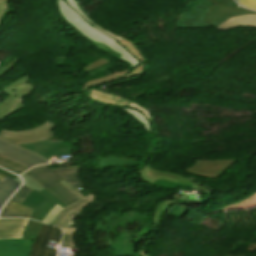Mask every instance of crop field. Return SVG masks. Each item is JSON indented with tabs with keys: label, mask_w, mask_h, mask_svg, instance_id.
Listing matches in <instances>:
<instances>
[{
	"label": "crop field",
	"mask_w": 256,
	"mask_h": 256,
	"mask_svg": "<svg viewBox=\"0 0 256 256\" xmlns=\"http://www.w3.org/2000/svg\"><path fill=\"white\" fill-rule=\"evenodd\" d=\"M173 204H174V201H167V202H163V203L159 206L157 212L155 213V217H154V222H155V228H154V229H155V230H156V228L158 227V225H159V223H160V221H161V219H162L164 213L166 212V210H167L170 206H172Z\"/></svg>",
	"instance_id": "crop-field-22"
},
{
	"label": "crop field",
	"mask_w": 256,
	"mask_h": 256,
	"mask_svg": "<svg viewBox=\"0 0 256 256\" xmlns=\"http://www.w3.org/2000/svg\"><path fill=\"white\" fill-rule=\"evenodd\" d=\"M31 246H22L11 239L0 240V256L28 255Z\"/></svg>",
	"instance_id": "crop-field-14"
},
{
	"label": "crop field",
	"mask_w": 256,
	"mask_h": 256,
	"mask_svg": "<svg viewBox=\"0 0 256 256\" xmlns=\"http://www.w3.org/2000/svg\"><path fill=\"white\" fill-rule=\"evenodd\" d=\"M129 107H135V108L141 110L144 114L147 115V117H148L149 119H151L150 113H148V112L146 111V109H144V108H142V107H140V106H138V105H136V104H134V103H132V102L129 103Z\"/></svg>",
	"instance_id": "crop-field-33"
},
{
	"label": "crop field",
	"mask_w": 256,
	"mask_h": 256,
	"mask_svg": "<svg viewBox=\"0 0 256 256\" xmlns=\"http://www.w3.org/2000/svg\"><path fill=\"white\" fill-rule=\"evenodd\" d=\"M21 177L24 178V185L36 190V191H40L42 189H44L41 185L37 184L35 181H33L30 177H28L27 175L23 174L21 175Z\"/></svg>",
	"instance_id": "crop-field-28"
},
{
	"label": "crop field",
	"mask_w": 256,
	"mask_h": 256,
	"mask_svg": "<svg viewBox=\"0 0 256 256\" xmlns=\"http://www.w3.org/2000/svg\"><path fill=\"white\" fill-rule=\"evenodd\" d=\"M94 199V196L91 194L84 199L65 207L64 209L55 206L45 217L43 220L44 223L56 225L60 228L69 227L73 225L72 218L74 215L80 212V209L83 208L84 205L91 203Z\"/></svg>",
	"instance_id": "crop-field-4"
},
{
	"label": "crop field",
	"mask_w": 256,
	"mask_h": 256,
	"mask_svg": "<svg viewBox=\"0 0 256 256\" xmlns=\"http://www.w3.org/2000/svg\"><path fill=\"white\" fill-rule=\"evenodd\" d=\"M216 6H211L204 21L205 23L218 27L220 24L225 22L227 19L244 14H256L253 12L246 11L239 7L229 6L232 0H209Z\"/></svg>",
	"instance_id": "crop-field-5"
},
{
	"label": "crop field",
	"mask_w": 256,
	"mask_h": 256,
	"mask_svg": "<svg viewBox=\"0 0 256 256\" xmlns=\"http://www.w3.org/2000/svg\"><path fill=\"white\" fill-rule=\"evenodd\" d=\"M239 26L256 27V15H245V16L233 17L227 20L218 28L227 30L229 28H234Z\"/></svg>",
	"instance_id": "crop-field-16"
},
{
	"label": "crop field",
	"mask_w": 256,
	"mask_h": 256,
	"mask_svg": "<svg viewBox=\"0 0 256 256\" xmlns=\"http://www.w3.org/2000/svg\"><path fill=\"white\" fill-rule=\"evenodd\" d=\"M0 164L15 170L20 174L28 170V169L20 166L19 164L15 163L9 159L3 158V157H0Z\"/></svg>",
	"instance_id": "crop-field-25"
},
{
	"label": "crop field",
	"mask_w": 256,
	"mask_h": 256,
	"mask_svg": "<svg viewBox=\"0 0 256 256\" xmlns=\"http://www.w3.org/2000/svg\"><path fill=\"white\" fill-rule=\"evenodd\" d=\"M61 240V230L43 224L37 233L29 256H55L57 250L46 248L48 241L59 243Z\"/></svg>",
	"instance_id": "crop-field-8"
},
{
	"label": "crop field",
	"mask_w": 256,
	"mask_h": 256,
	"mask_svg": "<svg viewBox=\"0 0 256 256\" xmlns=\"http://www.w3.org/2000/svg\"><path fill=\"white\" fill-rule=\"evenodd\" d=\"M140 173H141L143 179H144L146 182H148V183H150L151 181L155 180V179L158 178V177H161V178H165V179H169V180H173V181H177V182L189 184V185H192V187L201 188V189L205 190V191H206V194L209 193V191H208L206 188H204V187H202V186H200V185H198V184H195V183H193V182H191V181H189V180H186V179H184V178L181 177V176L158 172V171H155V170L151 169V168L148 167V166H146V167L144 168V170L141 171ZM151 183H152V182H151Z\"/></svg>",
	"instance_id": "crop-field-13"
},
{
	"label": "crop field",
	"mask_w": 256,
	"mask_h": 256,
	"mask_svg": "<svg viewBox=\"0 0 256 256\" xmlns=\"http://www.w3.org/2000/svg\"><path fill=\"white\" fill-rule=\"evenodd\" d=\"M237 1V0H236Z\"/></svg>",
	"instance_id": "crop-field-47"
},
{
	"label": "crop field",
	"mask_w": 256,
	"mask_h": 256,
	"mask_svg": "<svg viewBox=\"0 0 256 256\" xmlns=\"http://www.w3.org/2000/svg\"><path fill=\"white\" fill-rule=\"evenodd\" d=\"M1 166V165H0ZM2 167H4V166H2ZM4 168H6V167H4ZM6 169H8V170H10V171H12V172H14V173H16L15 171H13V170H11V169H9V168H6ZM16 174H18V173H16ZM18 175H20V174H18Z\"/></svg>",
	"instance_id": "crop-field-42"
},
{
	"label": "crop field",
	"mask_w": 256,
	"mask_h": 256,
	"mask_svg": "<svg viewBox=\"0 0 256 256\" xmlns=\"http://www.w3.org/2000/svg\"><path fill=\"white\" fill-rule=\"evenodd\" d=\"M235 160H201L185 171L207 176L219 177Z\"/></svg>",
	"instance_id": "crop-field-10"
},
{
	"label": "crop field",
	"mask_w": 256,
	"mask_h": 256,
	"mask_svg": "<svg viewBox=\"0 0 256 256\" xmlns=\"http://www.w3.org/2000/svg\"><path fill=\"white\" fill-rule=\"evenodd\" d=\"M29 213H21V212H12V211H5L2 210L0 213V217H26L29 218Z\"/></svg>",
	"instance_id": "crop-field-31"
},
{
	"label": "crop field",
	"mask_w": 256,
	"mask_h": 256,
	"mask_svg": "<svg viewBox=\"0 0 256 256\" xmlns=\"http://www.w3.org/2000/svg\"><path fill=\"white\" fill-rule=\"evenodd\" d=\"M117 109H122L128 113H130L138 122L144 125L146 130H150L149 124L145 117H143L141 114L131 110V109H123V108H117Z\"/></svg>",
	"instance_id": "crop-field-27"
},
{
	"label": "crop field",
	"mask_w": 256,
	"mask_h": 256,
	"mask_svg": "<svg viewBox=\"0 0 256 256\" xmlns=\"http://www.w3.org/2000/svg\"><path fill=\"white\" fill-rule=\"evenodd\" d=\"M54 127L55 125L51 124L49 121H46L44 125L29 131L10 132L4 130L2 133H0V137L14 144L31 143L54 136L55 133L51 131Z\"/></svg>",
	"instance_id": "crop-field-7"
},
{
	"label": "crop field",
	"mask_w": 256,
	"mask_h": 256,
	"mask_svg": "<svg viewBox=\"0 0 256 256\" xmlns=\"http://www.w3.org/2000/svg\"><path fill=\"white\" fill-rule=\"evenodd\" d=\"M140 254H141V256H148V255H146V254L143 252V250H140Z\"/></svg>",
	"instance_id": "crop-field-41"
},
{
	"label": "crop field",
	"mask_w": 256,
	"mask_h": 256,
	"mask_svg": "<svg viewBox=\"0 0 256 256\" xmlns=\"http://www.w3.org/2000/svg\"><path fill=\"white\" fill-rule=\"evenodd\" d=\"M62 184H64L67 188H69L72 192H74L76 195H78L81 199L84 198L83 196H81L77 190L73 189L67 182H65L64 180L61 181Z\"/></svg>",
	"instance_id": "crop-field-35"
},
{
	"label": "crop field",
	"mask_w": 256,
	"mask_h": 256,
	"mask_svg": "<svg viewBox=\"0 0 256 256\" xmlns=\"http://www.w3.org/2000/svg\"><path fill=\"white\" fill-rule=\"evenodd\" d=\"M62 230L64 232V236L61 245L66 247H75L71 239L72 233L74 232L75 228H64Z\"/></svg>",
	"instance_id": "crop-field-26"
},
{
	"label": "crop field",
	"mask_w": 256,
	"mask_h": 256,
	"mask_svg": "<svg viewBox=\"0 0 256 256\" xmlns=\"http://www.w3.org/2000/svg\"><path fill=\"white\" fill-rule=\"evenodd\" d=\"M40 193L44 194L48 198L44 200L31 214L30 219L39 220L42 222L45 215L56 205H60L63 208L67 206L64 204L60 199L56 198L54 195H52L50 192H48L46 189L40 191Z\"/></svg>",
	"instance_id": "crop-field-12"
},
{
	"label": "crop field",
	"mask_w": 256,
	"mask_h": 256,
	"mask_svg": "<svg viewBox=\"0 0 256 256\" xmlns=\"http://www.w3.org/2000/svg\"><path fill=\"white\" fill-rule=\"evenodd\" d=\"M11 62H9L8 60L5 62V65L2 67V68H0V71L3 69V68H5L8 64H10Z\"/></svg>",
	"instance_id": "crop-field-39"
},
{
	"label": "crop field",
	"mask_w": 256,
	"mask_h": 256,
	"mask_svg": "<svg viewBox=\"0 0 256 256\" xmlns=\"http://www.w3.org/2000/svg\"><path fill=\"white\" fill-rule=\"evenodd\" d=\"M57 6L65 20L83 36L89 38L95 46L110 53L116 58L129 62L132 67L138 65V61L119 46L115 40L83 21L82 18L75 11L69 8L65 2L57 0Z\"/></svg>",
	"instance_id": "crop-field-2"
},
{
	"label": "crop field",
	"mask_w": 256,
	"mask_h": 256,
	"mask_svg": "<svg viewBox=\"0 0 256 256\" xmlns=\"http://www.w3.org/2000/svg\"><path fill=\"white\" fill-rule=\"evenodd\" d=\"M66 1H67V3H69L77 12H79L89 23H91L92 25H94L95 27H97L98 29H100L101 31H103V32H105V33H107V34H109V35L115 37L118 41L121 40V39H123V38H121V37H118V36H116V35H114V34L108 32V31H106V30H104V29L98 27V26L95 25L93 22H91V21L86 17V15L82 12V10L80 9V7L78 6V4L76 3L75 0H66ZM115 38H114V39H115Z\"/></svg>",
	"instance_id": "crop-field-24"
},
{
	"label": "crop field",
	"mask_w": 256,
	"mask_h": 256,
	"mask_svg": "<svg viewBox=\"0 0 256 256\" xmlns=\"http://www.w3.org/2000/svg\"><path fill=\"white\" fill-rule=\"evenodd\" d=\"M4 14H5V12L0 11V22H1L2 17L4 16Z\"/></svg>",
	"instance_id": "crop-field-40"
},
{
	"label": "crop field",
	"mask_w": 256,
	"mask_h": 256,
	"mask_svg": "<svg viewBox=\"0 0 256 256\" xmlns=\"http://www.w3.org/2000/svg\"><path fill=\"white\" fill-rule=\"evenodd\" d=\"M45 198L44 195L33 191L29 194V196L21 203V205L30 207L35 209Z\"/></svg>",
	"instance_id": "crop-field-19"
},
{
	"label": "crop field",
	"mask_w": 256,
	"mask_h": 256,
	"mask_svg": "<svg viewBox=\"0 0 256 256\" xmlns=\"http://www.w3.org/2000/svg\"><path fill=\"white\" fill-rule=\"evenodd\" d=\"M0 155L9 158L27 168L49 164L45 159L35 153L8 143L0 138Z\"/></svg>",
	"instance_id": "crop-field-6"
},
{
	"label": "crop field",
	"mask_w": 256,
	"mask_h": 256,
	"mask_svg": "<svg viewBox=\"0 0 256 256\" xmlns=\"http://www.w3.org/2000/svg\"><path fill=\"white\" fill-rule=\"evenodd\" d=\"M128 72V70H124L121 72H117V73H113L98 79H95L93 81L87 82L85 84V86L83 87V90H85L87 87H91V86H95L101 82H105V81H111V80H116L118 78H121L124 74H126Z\"/></svg>",
	"instance_id": "crop-field-21"
},
{
	"label": "crop field",
	"mask_w": 256,
	"mask_h": 256,
	"mask_svg": "<svg viewBox=\"0 0 256 256\" xmlns=\"http://www.w3.org/2000/svg\"><path fill=\"white\" fill-rule=\"evenodd\" d=\"M25 174L34 179L37 183L44 186L52 194L60 198L68 205L80 200L79 197H77L59 182L60 180L64 179L74 188L83 185L79 178L77 167L48 170L43 166H38L27 171Z\"/></svg>",
	"instance_id": "crop-field-1"
},
{
	"label": "crop field",
	"mask_w": 256,
	"mask_h": 256,
	"mask_svg": "<svg viewBox=\"0 0 256 256\" xmlns=\"http://www.w3.org/2000/svg\"><path fill=\"white\" fill-rule=\"evenodd\" d=\"M7 4V1L0 0V10L5 11V5Z\"/></svg>",
	"instance_id": "crop-field-37"
},
{
	"label": "crop field",
	"mask_w": 256,
	"mask_h": 256,
	"mask_svg": "<svg viewBox=\"0 0 256 256\" xmlns=\"http://www.w3.org/2000/svg\"><path fill=\"white\" fill-rule=\"evenodd\" d=\"M4 203H5V202H1V201H0V209H1V207L4 205Z\"/></svg>",
	"instance_id": "crop-field-43"
},
{
	"label": "crop field",
	"mask_w": 256,
	"mask_h": 256,
	"mask_svg": "<svg viewBox=\"0 0 256 256\" xmlns=\"http://www.w3.org/2000/svg\"><path fill=\"white\" fill-rule=\"evenodd\" d=\"M19 243H21L22 245H31L32 242L30 241H25V240H22V239H13Z\"/></svg>",
	"instance_id": "crop-field-36"
},
{
	"label": "crop field",
	"mask_w": 256,
	"mask_h": 256,
	"mask_svg": "<svg viewBox=\"0 0 256 256\" xmlns=\"http://www.w3.org/2000/svg\"><path fill=\"white\" fill-rule=\"evenodd\" d=\"M41 226V223L29 220L22 239L33 241L36 233L38 232Z\"/></svg>",
	"instance_id": "crop-field-20"
},
{
	"label": "crop field",
	"mask_w": 256,
	"mask_h": 256,
	"mask_svg": "<svg viewBox=\"0 0 256 256\" xmlns=\"http://www.w3.org/2000/svg\"><path fill=\"white\" fill-rule=\"evenodd\" d=\"M246 7L256 10V0H240Z\"/></svg>",
	"instance_id": "crop-field-32"
},
{
	"label": "crop field",
	"mask_w": 256,
	"mask_h": 256,
	"mask_svg": "<svg viewBox=\"0 0 256 256\" xmlns=\"http://www.w3.org/2000/svg\"><path fill=\"white\" fill-rule=\"evenodd\" d=\"M27 221L26 219H0V239L21 238Z\"/></svg>",
	"instance_id": "crop-field-11"
},
{
	"label": "crop field",
	"mask_w": 256,
	"mask_h": 256,
	"mask_svg": "<svg viewBox=\"0 0 256 256\" xmlns=\"http://www.w3.org/2000/svg\"><path fill=\"white\" fill-rule=\"evenodd\" d=\"M253 112H256V111H253Z\"/></svg>",
	"instance_id": "crop-field-46"
},
{
	"label": "crop field",
	"mask_w": 256,
	"mask_h": 256,
	"mask_svg": "<svg viewBox=\"0 0 256 256\" xmlns=\"http://www.w3.org/2000/svg\"><path fill=\"white\" fill-rule=\"evenodd\" d=\"M106 63H109L108 60H103V59H98L90 64H88L86 67L82 68L86 73L97 68L100 67Z\"/></svg>",
	"instance_id": "crop-field-30"
},
{
	"label": "crop field",
	"mask_w": 256,
	"mask_h": 256,
	"mask_svg": "<svg viewBox=\"0 0 256 256\" xmlns=\"http://www.w3.org/2000/svg\"><path fill=\"white\" fill-rule=\"evenodd\" d=\"M19 185V182L6 176L3 181H0V200L6 201Z\"/></svg>",
	"instance_id": "crop-field-18"
},
{
	"label": "crop field",
	"mask_w": 256,
	"mask_h": 256,
	"mask_svg": "<svg viewBox=\"0 0 256 256\" xmlns=\"http://www.w3.org/2000/svg\"><path fill=\"white\" fill-rule=\"evenodd\" d=\"M29 75L2 90L9 96L0 103L1 120L24 107L21 98L27 96L34 89L29 84Z\"/></svg>",
	"instance_id": "crop-field-3"
},
{
	"label": "crop field",
	"mask_w": 256,
	"mask_h": 256,
	"mask_svg": "<svg viewBox=\"0 0 256 256\" xmlns=\"http://www.w3.org/2000/svg\"><path fill=\"white\" fill-rule=\"evenodd\" d=\"M6 210H12V211H22V212H29L32 213L33 209L18 205V204H14V203H10L8 202V204L5 206Z\"/></svg>",
	"instance_id": "crop-field-29"
},
{
	"label": "crop field",
	"mask_w": 256,
	"mask_h": 256,
	"mask_svg": "<svg viewBox=\"0 0 256 256\" xmlns=\"http://www.w3.org/2000/svg\"><path fill=\"white\" fill-rule=\"evenodd\" d=\"M19 146L34 151L48 160H51L56 156L70 154L71 152V146L68 147V145L64 144V141L53 142L49 139Z\"/></svg>",
	"instance_id": "crop-field-9"
},
{
	"label": "crop field",
	"mask_w": 256,
	"mask_h": 256,
	"mask_svg": "<svg viewBox=\"0 0 256 256\" xmlns=\"http://www.w3.org/2000/svg\"><path fill=\"white\" fill-rule=\"evenodd\" d=\"M30 192L31 189L22 186L9 201L20 204Z\"/></svg>",
	"instance_id": "crop-field-23"
},
{
	"label": "crop field",
	"mask_w": 256,
	"mask_h": 256,
	"mask_svg": "<svg viewBox=\"0 0 256 256\" xmlns=\"http://www.w3.org/2000/svg\"><path fill=\"white\" fill-rule=\"evenodd\" d=\"M120 43L127 48V50L130 51V53H132V55H134L136 58H138L141 61V64L139 66H137L134 70H132L127 77L131 78L134 77L138 74H140L143 71L144 68V64H145V60L142 56V54L138 51V49L132 45L129 41H127L126 39H123L120 41Z\"/></svg>",
	"instance_id": "crop-field-17"
},
{
	"label": "crop field",
	"mask_w": 256,
	"mask_h": 256,
	"mask_svg": "<svg viewBox=\"0 0 256 256\" xmlns=\"http://www.w3.org/2000/svg\"><path fill=\"white\" fill-rule=\"evenodd\" d=\"M88 97L101 104L128 106V102H129L128 100L121 99L104 92H100L96 89L90 90Z\"/></svg>",
	"instance_id": "crop-field-15"
},
{
	"label": "crop field",
	"mask_w": 256,
	"mask_h": 256,
	"mask_svg": "<svg viewBox=\"0 0 256 256\" xmlns=\"http://www.w3.org/2000/svg\"><path fill=\"white\" fill-rule=\"evenodd\" d=\"M4 175H0V180H3L4 179ZM6 178V177H5Z\"/></svg>",
	"instance_id": "crop-field-44"
},
{
	"label": "crop field",
	"mask_w": 256,
	"mask_h": 256,
	"mask_svg": "<svg viewBox=\"0 0 256 256\" xmlns=\"http://www.w3.org/2000/svg\"><path fill=\"white\" fill-rule=\"evenodd\" d=\"M18 62V59L15 58L12 63L10 65H8L5 69H3L1 72H0V75L5 73L6 71H8L9 69L13 68V66Z\"/></svg>",
	"instance_id": "crop-field-34"
},
{
	"label": "crop field",
	"mask_w": 256,
	"mask_h": 256,
	"mask_svg": "<svg viewBox=\"0 0 256 256\" xmlns=\"http://www.w3.org/2000/svg\"><path fill=\"white\" fill-rule=\"evenodd\" d=\"M15 180H17V181L21 182V179H20V178H18V177H17ZM20 184H21V183H20Z\"/></svg>",
	"instance_id": "crop-field-45"
},
{
	"label": "crop field",
	"mask_w": 256,
	"mask_h": 256,
	"mask_svg": "<svg viewBox=\"0 0 256 256\" xmlns=\"http://www.w3.org/2000/svg\"><path fill=\"white\" fill-rule=\"evenodd\" d=\"M0 174L7 175V176H9V177H11V178H13V179L16 178V176H14V175H12V174H10V173H8V172H5V171H3V170H1V169H0Z\"/></svg>",
	"instance_id": "crop-field-38"
}]
</instances>
